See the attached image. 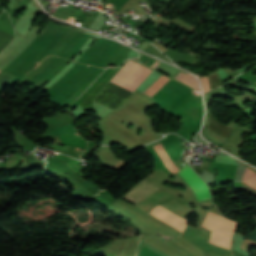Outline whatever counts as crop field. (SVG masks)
<instances>
[{
    "label": "crop field",
    "mask_w": 256,
    "mask_h": 256,
    "mask_svg": "<svg viewBox=\"0 0 256 256\" xmlns=\"http://www.w3.org/2000/svg\"><path fill=\"white\" fill-rule=\"evenodd\" d=\"M202 225L212 230L210 241L218 246L230 248L231 235L236 227V222L208 212Z\"/></svg>",
    "instance_id": "1"
},
{
    "label": "crop field",
    "mask_w": 256,
    "mask_h": 256,
    "mask_svg": "<svg viewBox=\"0 0 256 256\" xmlns=\"http://www.w3.org/2000/svg\"><path fill=\"white\" fill-rule=\"evenodd\" d=\"M151 72L152 70L128 60L111 82L133 92Z\"/></svg>",
    "instance_id": "2"
},
{
    "label": "crop field",
    "mask_w": 256,
    "mask_h": 256,
    "mask_svg": "<svg viewBox=\"0 0 256 256\" xmlns=\"http://www.w3.org/2000/svg\"><path fill=\"white\" fill-rule=\"evenodd\" d=\"M178 173L202 201L211 198L206 185L187 164Z\"/></svg>",
    "instance_id": "3"
},
{
    "label": "crop field",
    "mask_w": 256,
    "mask_h": 256,
    "mask_svg": "<svg viewBox=\"0 0 256 256\" xmlns=\"http://www.w3.org/2000/svg\"><path fill=\"white\" fill-rule=\"evenodd\" d=\"M158 189L159 187L143 180L135 188H133L126 196H124V198L136 204Z\"/></svg>",
    "instance_id": "4"
},
{
    "label": "crop field",
    "mask_w": 256,
    "mask_h": 256,
    "mask_svg": "<svg viewBox=\"0 0 256 256\" xmlns=\"http://www.w3.org/2000/svg\"><path fill=\"white\" fill-rule=\"evenodd\" d=\"M151 215L179 228L182 231L186 224V220L175 215L174 213L170 212L169 210L165 209L164 207H162L160 205L153 209Z\"/></svg>",
    "instance_id": "5"
},
{
    "label": "crop field",
    "mask_w": 256,
    "mask_h": 256,
    "mask_svg": "<svg viewBox=\"0 0 256 256\" xmlns=\"http://www.w3.org/2000/svg\"><path fill=\"white\" fill-rule=\"evenodd\" d=\"M157 150L159 156L161 157L163 163L165 166L169 169L170 172L176 173L179 169L173 164V162L170 160L169 156L167 155L166 151L164 150L161 143L154 146Z\"/></svg>",
    "instance_id": "6"
},
{
    "label": "crop field",
    "mask_w": 256,
    "mask_h": 256,
    "mask_svg": "<svg viewBox=\"0 0 256 256\" xmlns=\"http://www.w3.org/2000/svg\"><path fill=\"white\" fill-rule=\"evenodd\" d=\"M169 79L165 76H161L159 79H157L151 86H149L146 90L150 91L151 93H155L163 84H165ZM169 97L172 102L175 104V106L177 107L178 104L182 103L178 100H176L175 98L171 97V96H167Z\"/></svg>",
    "instance_id": "7"
},
{
    "label": "crop field",
    "mask_w": 256,
    "mask_h": 256,
    "mask_svg": "<svg viewBox=\"0 0 256 256\" xmlns=\"http://www.w3.org/2000/svg\"><path fill=\"white\" fill-rule=\"evenodd\" d=\"M104 69L99 68L95 75L86 83L84 84L69 100L65 101L64 103L60 104L62 108L71 103L73 100L77 99L85 90L86 88L92 83V81L103 71Z\"/></svg>",
    "instance_id": "8"
},
{
    "label": "crop field",
    "mask_w": 256,
    "mask_h": 256,
    "mask_svg": "<svg viewBox=\"0 0 256 256\" xmlns=\"http://www.w3.org/2000/svg\"><path fill=\"white\" fill-rule=\"evenodd\" d=\"M176 79H178V80H180V81H182V82H184V83H186V84H188V85H190V86H192V87H194L195 89H197L198 91H200L199 90V85H198V82H197V80L195 79V77H193L192 75H190V74H184V73H182L180 76H178Z\"/></svg>",
    "instance_id": "9"
},
{
    "label": "crop field",
    "mask_w": 256,
    "mask_h": 256,
    "mask_svg": "<svg viewBox=\"0 0 256 256\" xmlns=\"http://www.w3.org/2000/svg\"><path fill=\"white\" fill-rule=\"evenodd\" d=\"M200 80L202 82L203 91H209L206 77H202Z\"/></svg>",
    "instance_id": "10"
},
{
    "label": "crop field",
    "mask_w": 256,
    "mask_h": 256,
    "mask_svg": "<svg viewBox=\"0 0 256 256\" xmlns=\"http://www.w3.org/2000/svg\"><path fill=\"white\" fill-rule=\"evenodd\" d=\"M159 64H160V62L156 61L154 64L151 65V67L155 68Z\"/></svg>",
    "instance_id": "11"
},
{
    "label": "crop field",
    "mask_w": 256,
    "mask_h": 256,
    "mask_svg": "<svg viewBox=\"0 0 256 256\" xmlns=\"http://www.w3.org/2000/svg\"><path fill=\"white\" fill-rule=\"evenodd\" d=\"M177 76H178V75H177ZM177 76H176V77H177ZM176 77H175V78H176Z\"/></svg>",
    "instance_id": "12"
},
{
    "label": "crop field",
    "mask_w": 256,
    "mask_h": 256,
    "mask_svg": "<svg viewBox=\"0 0 256 256\" xmlns=\"http://www.w3.org/2000/svg\"><path fill=\"white\" fill-rule=\"evenodd\" d=\"M225 249H227V248H225ZM230 250V249H229Z\"/></svg>",
    "instance_id": "13"
}]
</instances>
